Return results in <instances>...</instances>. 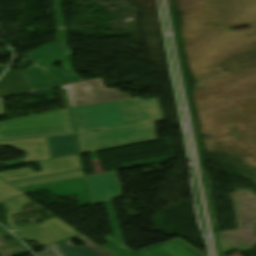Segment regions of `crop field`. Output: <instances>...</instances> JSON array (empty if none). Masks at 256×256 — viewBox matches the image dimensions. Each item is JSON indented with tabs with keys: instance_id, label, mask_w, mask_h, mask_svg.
<instances>
[{
	"instance_id": "crop-field-1",
	"label": "crop field",
	"mask_w": 256,
	"mask_h": 256,
	"mask_svg": "<svg viewBox=\"0 0 256 256\" xmlns=\"http://www.w3.org/2000/svg\"><path fill=\"white\" fill-rule=\"evenodd\" d=\"M71 110L81 153L155 140V122L163 121L157 99L135 97ZM127 121L137 123L127 126Z\"/></svg>"
},
{
	"instance_id": "crop-field-2",
	"label": "crop field",
	"mask_w": 256,
	"mask_h": 256,
	"mask_svg": "<svg viewBox=\"0 0 256 256\" xmlns=\"http://www.w3.org/2000/svg\"><path fill=\"white\" fill-rule=\"evenodd\" d=\"M69 54L68 48L56 43L46 44L27 54L29 57L25 60L35 64L23 71L32 91L81 81L71 69L55 70L52 65ZM65 72L70 76H66Z\"/></svg>"
},
{
	"instance_id": "crop-field-3",
	"label": "crop field",
	"mask_w": 256,
	"mask_h": 256,
	"mask_svg": "<svg viewBox=\"0 0 256 256\" xmlns=\"http://www.w3.org/2000/svg\"><path fill=\"white\" fill-rule=\"evenodd\" d=\"M42 171L37 173L31 168L0 173V178L15 188L65 180L83 175L79 156L43 161L39 163Z\"/></svg>"
},
{
	"instance_id": "crop-field-4",
	"label": "crop field",
	"mask_w": 256,
	"mask_h": 256,
	"mask_svg": "<svg viewBox=\"0 0 256 256\" xmlns=\"http://www.w3.org/2000/svg\"><path fill=\"white\" fill-rule=\"evenodd\" d=\"M60 133H73L67 109L0 123V139Z\"/></svg>"
},
{
	"instance_id": "crop-field-5",
	"label": "crop field",
	"mask_w": 256,
	"mask_h": 256,
	"mask_svg": "<svg viewBox=\"0 0 256 256\" xmlns=\"http://www.w3.org/2000/svg\"><path fill=\"white\" fill-rule=\"evenodd\" d=\"M31 200L26 197L25 195L16 197L9 201L3 202L7 213V223L12 229L11 231L16 234L20 239L25 240H32L39 243L41 246L50 245L55 243L56 241L63 240L67 237L77 235L79 232L75 231L74 229L70 228L61 220L54 218L52 220H47L44 222L43 225L33 226L27 225L16 229L15 223L12 219V216L18 213L23 212L22 208L28 204ZM32 228L33 230L37 231L38 235H28L26 232Z\"/></svg>"
},
{
	"instance_id": "crop-field-6",
	"label": "crop field",
	"mask_w": 256,
	"mask_h": 256,
	"mask_svg": "<svg viewBox=\"0 0 256 256\" xmlns=\"http://www.w3.org/2000/svg\"><path fill=\"white\" fill-rule=\"evenodd\" d=\"M70 107L112 102L130 98L118 89H104L101 78L65 85Z\"/></svg>"
},
{
	"instance_id": "crop-field-7",
	"label": "crop field",
	"mask_w": 256,
	"mask_h": 256,
	"mask_svg": "<svg viewBox=\"0 0 256 256\" xmlns=\"http://www.w3.org/2000/svg\"><path fill=\"white\" fill-rule=\"evenodd\" d=\"M103 238L110 243L101 246L114 256H206L179 238L144 248L135 253L109 235Z\"/></svg>"
},
{
	"instance_id": "crop-field-8",
	"label": "crop field",
	"mask_w": 256,
	"mask_h": 256,
	"mask_svg": "<svg viewBox=\"0 0 256 256\" xmlns=\"http://www.w3.org/2000/svg\"><path fill=\"white\" fill-rule=\"evenodd\" d=\"M92 204L121 197L118 173H106L86 177Z\"/></svg>"
},
{
	"instance_id": "crop-field-9",
	"label": "crop field",
	"mask_w": 256,
	"mask_h": 256,
	"mask_svg": "<svg viewBox=\"0 0 256 256\" xmlns=\"http://www.w3.org/2000/svg\"><path fill=\"white\" fill-rule=\"evenodd\" d=\"M46 189L57 197L77 196L81 206L89 204V198L84 178L66 180L46 185L22 188L25 193ZM22 191V192H23Z\"/></svg>"
},
{
	"instance_id": "crop-field-10",
	"label": "crop field",
	"mask_w": 256,
	"mask_h": 256,
	"mask_svg": "<svg viewBox=\"0 0 256 256\" xmlns=\"http://www.w3.org/2000/svg\"><path fill=\"white\" fill-rule=\"evenodd\" d=\"M0 145H10L17 147L20 151H26L27 156L22 160L24 164L51 159L46 137L2 141Z\"/></svg>"
},
{
	"instance_id": "crop-field-11",
	"label": "crop field",
	"mask_w": 256,
	"mask_h": 256,
	"mask_svg": "<svg viewBox=\"0 0 256 256\" xmlns=\"http://www.w3.org/2000/svg\"><path fill=\"white\" fill-rule=\"evenodd\" d=\"M75 238H78L86 246L74 247L70 241ZM75 238L58 243L66 256H112L110 253H108L102 247L96 245L84 235Z\"/></svg>"
},
{
	"instance_id": "crop-field-12",
	"label": "crop field",
	"mask_w": 256,
	"mask_h": 256,
	"mask_svg": "<svg viewBox=\"0 0 256 256\" xmlns=\"http://www.w3.org/2000/svg\"><path fill=\"white\" fill-rule=\"evenodd\" d=\"M52 159L78 153L74 135L47 137Z\"/></svg>"
},
{
	"instance_id": "crop-field-13",
	"label": "crop field",
	"mask_w": 256,
	"mask_h": 256,
	"mask_svg": "<svg viewBox=\"0 0 256 256\" xmlns=\"http://www.w3.org/2000/svg\"><path fill=\"white\" fill-rule=\"evenodd\" d=\"M31 91L22 72L8 70L0 80V97Z\"/></svg>"
},
{
	"instance_id": "crop-field-14",
	"label": "crop field",
	"mask_w": 256,
	"mask_h": 256,
	"mask_svg": "<svg viewBox=\"0 0 256 256\" xmlns=\"http://www.w3.org/2000/svg\"><path fill=\"white\" fill-rule=\"evenodd\" d=\"M19 194V191L0 179V201Z\"/></svg>"
},
{
	"instance_id": "crop-field-15",
	"label": "crop field",
	"mask_w": 256,
	"mask_h": 256,
	"mask_svg": "<svg viewBox=\"0 0 256 256\" xmlns=\"http://www.w3.org/2000/svg\"><path fill=\"white\" fill-rule=\"evenodd\" d=\"M37 256H63L55 244L45 247L43 253H37Z\"/></svg>"
},
{
	"instance_id": "crop-field-16",
	"label": "crop field",
	"mask_w": 256,
	"mask_h": 256,
	"mask_svg": "<svg viewBox=\"0 0 256 256\" xmlns=\"http://www.w3.org/2000/svg\"><path fill=\"white\" fill-rule=\"evenodd\" d=\"M4 115V109H3V105H2V101L0 99V116Z\"/></svg>"
},
{
	"instance_id": "crop-field-17",
	"label": "crop field",
	"mask_w": 256,
	"mask_h": 256,
	"mask_svg": "<svg viewBox=\"0 0 256 256\" xmlns=\"http://www.w3.org/2000/svg\"><path fill=\"white\" fill-rule=\"evenodd\" d=\"M6 68V66H0V76L3 73L4 69Z\"/></svg>"
},
{
	"instance_id": "crop-field-18",
	"label": "crop field",
	"mask_w": 256,
	"mask_h": 256,
	"mask_svg": "<svg viewBox=\"0 0 256 256\" xmlns=\"http://www.w3.org/2000/svg\"><path fill=\"white\" fill-rule=\"evenodd\" d=\"M28 234H38V233H36L35 231L31 230L30 232H28Z\"/></svg>"
},
{
	"instance_id": "crop-field-19",
	"label": "crop field",
	"mask_w": 256,
	"mask_h": 256,
	"mask_svg": "<svg viewBox=\"0 0 256 256\" xmlns=\"http://www.w3.org/2000/svg\"><path fill=\"white\" fill-rule=\"evenodd\" d=\"M136 122H128L127 124L128 125H132V124H135Z\"/></svg>"
}]
</instances>
